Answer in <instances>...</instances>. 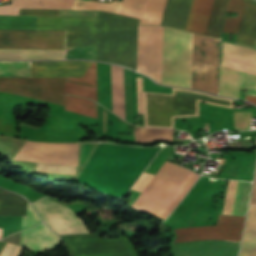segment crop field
Segmentation results:
<instances>
[{
  "mask_svg": "<svg viewBox=\"0 0 256 256\" xmlns=\"http://www.w3.org/2000/svg\"><path fill=\"white\" fill-rule=\"evenodd\" d=\"M236 41L255 46L256 1L247 0ZM221 64L248 72L247 95L256 96V50L223 41Z\"/></svg>",
  "mask_w": 256,
  "mask_h": 256,
  "instance_id": "f4fd0767",
  "label": "crop field"
},
{
  "mask_svg": "<svg viewBox=\"0 0 256 256\" xmlns=\"http://www.w3.org/2000/svg\"><path fill=\"white\" fill-rule=\"evenodd\" d=\"M192 34L164 27L162 84L190 88ZM219 40L193 34L191 88L217 95Z\"/></svg>",
  "mask_w": 256,
  "mask_h": 256,
  "instance_id": "8a807250",
  "label": "crop field"
},
{
  "mask_svg": "<svg viewBox=\"0 0 256 256\" xmlns=\"http://www.w3.org/2000/svg\"><path fill=\"white\" fill-rule=\"evenodd\" d=\"M247 73L220 67L219 95L238 98L239 88L246 89Z\"/></svg>",
  "mask_w": 256,
  "mask_h": 256,
  "instance_id": "d9b57169",
  "label": "crop field"
},
{
  "mask_svg": "<svg viewBox=\"0 0 256 256\" xmlns=\"http://www.w3.org/2000/svg\"><path fill=\"white\" fill-rule=\"evenodd\" d=\"M245 217L219 214L216 226L175 229V242H186L203 239L240 241Z\"/></svg>",
  "mask_w": 256,
  "mask_h": 256,
  "instance_id": "5a996713",
  "label": "crop field"
},
{
  "mask_svg": "<svg viewBox=\"0 0 256 256\" xmlns=\"http://www.w3.org/2000/svg\"><path fill=\"white\" fill-rule=\"evenodd\" d=\"M19 15L59 16V10L20 9Z\"/></svg>",
  "mask_w": 256,
  "mask_h": 256,
  "instance_id": "d3111659",
  "label": "crop field"
},
{
  "mask_svg": "<svg viewBox=\"0 0 256 256\" xmlns=\"http://www.w3.org/2000/svg\"><path fill=\"white\" fill-rule=\"evenodd\" d=\"M64 51L0 50V59H63Z\"/></svg>",
  "mask_w": 256,
  "mask_h": 256,
  "instance_id": "214f88e0",
  "label": "crop field"
},
{
  "mask_svg": "<svg viewBox=\"0 0 256 256\" xmlns=\"http://www.w3.org/2000/svg\"><path fill=\"white\" fill-rule=\"evenodd\" d=\"M0 91L66 105V110L98 118L97 103L64 94L82 95L97 101L96 62L92 63L83 77L0 78Z\"/></svg>",
  "mask_w": 256,
  "mask_h": 256,
  "instance_id": "ac0d7876",
  "label": "crop field"
},
{
  "mask_svg": "<svg viewBox=\"0 0 256 256\" xmlns=\"http://www.w3.org/2000/svg\"><path fill=\"white\" fill-rule=\"evenodd\" d=\"M197 178L193 172L165 162L133 207L166 218Z\"/></svg>",
  "mask_w": 256,
  "mask_h": 256,
  "instance_id": "34b2d1b8",
  "label": "crop field"
},
{
  "mask_svg": "<svg viewBox=\"0 0 256 256\" xmlns=\"http://www.w3.org/2000/svg\"><path fill=\"white\" fill-rule=\"evenodd\" d=\"M241 256H256V177L243 240Z\"/></svg>",
  "mask_w": 256,
  "mask_h": 256,
  "instance_id": "4a817a6b",
  "label": "crop field"
},
{
  "mask_svg": "<svg viewBox=\"0 0 256 256\" xmlns=\"http://www.w3.org/2000/svg\"><path fill=\"white\" fill-rule=\"evenodd\" d=\"M65 31L0 30V49L64 50Z\"/></svg>",
  "mask_w": 256,
  "mask_h": 256,
  "instance_id": "e52e79f7",
  "label": "crop field"
},
{
  "mask_svg": "<svg viewBox=\"0 0 256 256\" xmlns=\"http://www.w3.org/2000/svg\"><path fill=\"white\" fill-rule=\"evenodd\" d=\"M40 222V218L27 201L26 216H22L21 230L38 225Z\"/></svg>",
  "mask_w": 256,
  "mask_h": 256,
  "instance_id": "730fd06b",
  "label": "crop field"
},
{
  "mask_svg": "<svg viewBox=\"0 0 256 256\" xmlns=\"http://www.w3.org/2000/svg\"><path fill=\"white\" fill-rule=\"evenodd\" d=\"M32 205L57 235L89 233L78 217L63 205L45 198Z\"/></svg>",
  "mask_w": 256,
  "mask_h": 256,
  "instance_id": "28ad6ade",
  "label": "crop field"
},
{
  "mask_svg": "<svg viewBox=\"0 0 256 256\" xmlns=\"http://www.w3.org/2000/svg\"><path fill=\"white\" fill-rule=\"evenodd\" d=\"M98 17H38L37 29L97 30Z\"/></svg>",
  "mask_w": 256,
  "mask_h": 256,
  "instance_id": "cbeb9de0",
  "label": "crop field"
},
{
  "mask_svg": "<svg viewBox=\"0 0 256 256\" xmlns=\"http://www.w3.org/2000/svg\"><path fill=\"white\" fill-rule=\"evenodd\" d=\"M37 171L76 174V167L38 163Z\"/></svg>",
  "mask_w": 256,
  "mask_h": 256,
  "instance_id": "eef30255",
  "label": "crop field"
},
{
  "mask_svg": "<svg viewBox=\"0 0 256 256\" xmlns=\"http://www.w3.org/2000/svg\"><path fill=\"white\" fill-rule=\"evenodd\" d=\"M8 199L25 205V207L8 201ZM26 200L20 196L0 189V216L25 215Z\"/></svg>",
  "mask_w": 256,
  "mask_h": 256,
  "instance_id": "92a150f3",
  "label": "crop field"
},
{
  "mask_svg": "<svg viewBox=\"0 0 256 256\" xmlns=\"http://www.w3.org/2000/svg\"><path fill=\"white\" fill-rule=\"evenodd\" d=\"M79 143L26 141L12 160L77 165Z\"/></svg>",
  "mask_w": 256,
  "mask_h": 256,
  "instance_id": "dd49c442",
  "label": "crop field"
},
{
  "mask_svg": "<svg viewBox=\"0 0 256 256\" xmlns=\"http://www.w3.org/2000/svg\"><path fill=\"white\" fill-rule=\"evenodd\" d=\"M139 21L99 10L97 60L136 70Z\"/></svg>",
  "mask_w": 256,
  "mask_h": 256,
  "instance_id": "412701ff",
  "label": "crop field"
},
{
  "mask_svg": "<svg viewBox=\"0 0 256 256\" xmlns=\"http://www.w3.org/2000/svg\"><path fill=\"white\" fill-rule=\"evenodd\" d=\"M144 2H145V0H132V4H131V0H123V4L121 7L122 2H117V1H113L112 4H107V3L75 0V3L73 5L72 9H101V10H105V11H109V12L118 14L120 7H121L119 14L127 16L129 7L131 4L128 16L140 19L142 10H143V6H144Z\"/></svg>",
  "mask_w": 256,
  "mask_h": 256,
  "instance_id": "5142ce71",
  "label": "crop field"
},
{
  "mask_svg": "<svg viewBox=\"0 0 256 256\" xmlns=\"http://www.w3.org/2000/svg\"><path fill=\"white\" fill-rule=\"evenodd\" d=\"M61 240L45 224L21 232L20 245L31 252H42L59 246Z\"/></svg>",
  "mask_w": 256,
  "mask_h": 256,
  "instance_id": "22f410ed",
  "label": "crop field"
},
{
  "mask_svg": "<svg viewBox=\"0 0 256 256\" xmlns=\"http://www.w3.org/2000/svg\"><path fill=\"white\" fill-rule=\"evenodd\" d=\"M235 131L249 129L251 112H234Z\"/></svg>",
  "mask_w": 256,
  "mask_h": 256,
  "instance_id": "ae1a2a85",
  "label": "crop field"
},
{
  "mask_svg": "<svg viewBox=\"0 0 256 256\" xmlns=\"http://www.w3.org/2000/svg\"><path fill=\"white\" fill-rule=\"evenodd\" d=\"M113 112L125 119L123 68L111 65Z\"/></svg>",
  "mask_w": 256,
  "mask_h": 256,
  "instance_id": "bc2a9ffb",
  "label": "crop field"
},
{
  "mask_svg": "<svg viewBox=\"0 0 256 256\" xmlns=\"http://www.w3.org/2000/svg\"><path fill=\"white\" fill-rule=\"evenodd\" d=\"M97 31H67L66 46H96Z\"/></svg>",
  "mask_w": 256,
  "mask_h": 256,
  "instance_id": "dafd665d",
  "label": "crop field"
},
{
  "mask_svg": "<svg viewBox=\"0 0 256 256\" xmlns=\"http://www.w3.org/2000/svg\"><path fill=\"white\" fill-rule=\"evenodd\" d=\"M90 63L89 61L31 62V76H82Z\"/></svg>",
  "mask_w": 256,
  "mask_h": 256,
  "instance_id": "d1516ede",
  "label": "crop field"
},
{
  "mask_svg": "<svg viewBox=\"0 0 256 256\" xmlns=\"http://www.w3.org/2000/svg\"><path fill=\"white\" fill-rule=\"evenodd\" d=\"M245 3L246 0H230L227 11L239 12V15L238 18H227L223 31L234 33L238 32Z\"/></svg>",
  "mask_w": 256,
  "mask_h": 256,
  "instance_id": "4177f3b9",
  "label": "crop field"
},
{
  "mask_svg": "<svg viewBox=\"0 0 256 256\" xmlns=\"http://www.w3.org/2000/svg\"><path fill=\"white\" fill-rule=\"evenodd\" d=\"M4 244H5V242L0 241V251H1L2 247L4 246Z\"/></svg>",
  "mask_w": 256,
  "mask_h": 256,
  "instance_id": "1d83c4d3",
  "label": "crop field"
},
{
  "mask_svg": "<svg viewBox=\"0 0 256 256\" xmlns=\"http://www.w3.org/2000/svg\"><path fill=\"white\" fill-rule=\"evenodd\" d=\"M4 76L29 77V62H0V77Z\"/></svg>",
  "mask_w": 256,
  "mask_h": 256,
  "instance_id": "a9b5d70f",
  "label": "crop field"
},
{
  "mask_svg": "<svg viewBox=\"0 0 256 256\" xmlns=\"http://www.w3.org/2000/svg\"><path fill=\"white\" fill-rule=\"evenodd\" d=\"M246 100L251 101V102H253V103H255V104H256V97H253V96H247V97H246Z\"/></svg>",
  "mask_w": 256,
  "mask_h": 256,
  "instance_id": "bd1437ed",
  "label": "crop field"
},
{
  "mask_svg": "<svg viewBox=\"0 0 256 256\" xmlns=\"http://www.w3.org/2000/svg\"><path fill=\"white\" fill-rule=\"evenodd\" d=\"M23 247L15 245L10 256H19ZM23 251V250H22ZM21 256V255H20Z\"/></svg>",
  "mask_w": 256,
  "mask_h": 256,
  "instance_id": "750c4746",
  "label": "crop field"
},
{
  "mask_svg": "<svg viewBox=\"0 0 256 256\" xmlns=\"http://www.w3.org/2000/svg\"><path fill=\"white\" fill-rule=\"evenodd\" d=\"M213 1L193 0L185 30L205 35ZM228 2L215 0L206 35L219 38Z\"/></svg>",
  "mask_w": 256,
  "mask_h": 256,
  "instance_id": "d8731c3e",
  "label": "crop field"
},
{
  "mask_svg": "<svg viewBox=\"0 0 256 256\" xmlns=\"http://www.w3.org/2000/svg\"><path fill=\"white\" fill-rule=\"evenodd\" d=\"M251 183L238 181L233 202L232 215L245 216Z\"/></svg>",
  "mask_w": 256,
  "mask_h": 256,
  "instance_id": "00972430",
  "label": "crop field"
},
{
  "mask_svg": "<svg viewBox=\"0 0 256 256\" xmlns=\"http://www.w3.org/2000/svg\"><path fill=\"white\" fill-rule=\"evenodd\" d=\"M192 0H146L139 24L162 25L184 29Z\"/></svg>",
  "mask_w": 256,
  "mask_h": 256,
  "instance_id": "3316defc",
  "label": "crop field"
},
{
  "mask_svg": "<svg viewBox=\"0 0 256 256\" xmlns=\"http://www.w3.org/2000/svg\"><path fill=\"white\" fill-rule=\"evenodd\" d=\"M73 2L74 0H11V5L0 6V14L18 15L19 8L71 9Z\"/></svg>",
  "mask_w": 256,
  "mask_h": 256,
  "instance_id": "733c2abd",
  "label": "crop field"
}]
</instances>
